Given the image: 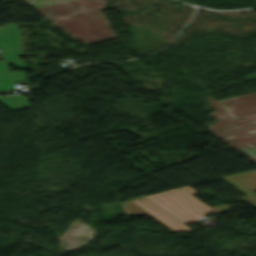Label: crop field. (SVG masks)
<instances>
[{"instance_id":"8a807250","label":"crop field","mask_w":256,"mask_h":256,"mask_svg":"<svg viewBox=\"0 0 256 256\" xmlns=\"http://www.w3.org/2000/svg\"><path fill=\"white\" fill-rule=\"evenodd\" d=\"M38 12L73 35L81 42L96 43L106 41L114 36L99 10L100 0H26Z\"/></svg>"},{"instance_id":"ac0d7876","label":"crop field","mask_w":256,"mask_h":256,"mask_svg":"<svg viewBox=\"0 0 256 256\" xmlns=\"http://www.w3.org/2000/svg\"><path fill=\"white\" fill-rule=\"evenodd\" d=\"M194 194H197V192L185 186L149 195L147 199L184 224L198 221L202 215L214 213L216 211L221 213L232 210L225 204L210 208L193 198L192 195Z\"/></svg>"},{"instance_id":"34b2d1b8","label":"crop field","mask_w":256,"mask_h":256,"mask_svg":"<svg viewBox=\"0 0 256 256\" xmlns=\"http://www.w3.org/2000/svg\"><path fill=\"white\" fill-rule=\"evenodd\" d=\"M206 99L217 111L211 116L218 122L207 130L239 153L250 155L255 159L252 162L256 164V114L247 116L246 120L240 121L243 127L231 130L228 128L231 117L224 112L212 96H208Z\"/></svg>"},{"instance_id":"412701ff","label":"crop field","mask_w":256,"mask_h":256,"mask_svg":"<svg viewBox=\"0 0 256 256\" xmlns=\"http://www.w3.org/2000/svg\"><path fill=\"white\" fill-rule=\"evenodd\" d=\"M21 33L17 25L6 24L0 27V92L8 93L14 88L15 82L26 81L23 72H9V63L26 69L22 55Z\"/></svg>"},{"instance_id":"f4fd0767","label":"crop field","mask_w":256,"mask_h":256,"mask_svg":"<svg viewBox=\"0 0 256 256\" xmlns=\"http://www.w3.org/2000/svg\"><path fill=\"white\" fill-rule=\"evenodd\" d=\"M120 204L127 216L147 214L173 232L193 231L147 199L136 202L126 201Z\"/></svg>"},{"instance_id":"dd49c442","label":"crop field","mask_w":256,"mask_h":256,"mask_svg":"<svg viewBox=\"0 0 256 256\" xmlns=\"http://www.w3.org/2000/svg\"><path fill=\"white\" fill-rule=\"evenodd\" d=\"M222 179L249 197L240 199V201L247 202L256 209V193H254L256 191V170L222 177Z\"/></svg>"},{"instance_id":"e52e79f7","label":"crop field","mask_w":256,"mask_h":256,"mask_svg":"<svg viewBox=\"0 0 256 256\" xmlns=\"http://www.w3.org/2000/svg\"><path fill=\"white\" fill-rule=\"evenodd\" d=\"M233 119L256 113V93L218 102Z\"/></svg>"},{"instance_id":"d8731c3e","label":"crop field","mask_w":256,"mask_h":256,"mask_svg":"<svg viewBox=\"0 0 256 256\" xmlns=\"http://www.w3.org/2000/svg\"><path fill=\"white\" fill-rule=\"evenodd\" d=\"M144 198H146V197L139 198V199H135V200H142V199H144ZM135 200H131V201H135Z\"/></svg>"}]
</instances>
